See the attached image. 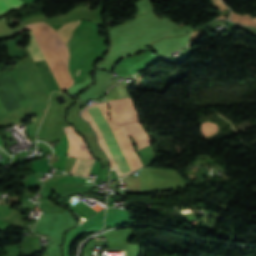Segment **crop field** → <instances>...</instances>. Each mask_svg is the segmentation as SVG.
I'll return each instance as SVG.
<instances>
[{
    "instance_id": "crop-field-1",
    "label": "crop field",
    "mask_w": 256,
    "mask_h": 256,
    "mask_svg": "<svg viewBox=\"0 0 256 256\" xmlns=\"http://www.w3.org/2000/svg\"><path fill=\"white\" fill-rule=\"evenodd\" d=\"M82 116L94 127L99 137L100 146L107 152L111 165L119 175L133 171L142 166L133 145L126 135H131L140 149L150 143L142 125L137 122L124 126L113 125L108 119V103L96 104L82 111Z\"/></svg>"
},
{
    "instance_id": "crop-field-2",
    "label": "crop field",
    "mask_w": 256,
    "mask_h": 256,
    "mask_svg": "<svg viewBox=\"0 0 256 256\" xmlns=\"http://www.w3.org/2000/svg\"><path fill=\"white\" fill-rule=\"evenodd\" d=\"M64 130L69 139V149H68L67 156L87 158L88 153L84 145L76 136V134L73 132V130L70 128V126L65 127Z\"/></svg>"
},
{
    "instance_id": "crop-field-3",
    "label": "crop field",
    "mask_w": 256,
    "mask_h": 256,
    "mask_svg": "<svg viewBox=\"0 0 256 256\" xmlns=\"http://www.w3.org/2000/svg\"><path fill=\"white\" fill-rule=\"evenodd\" d=\"M42 24H44V23H36V24L28 25V26L22 28L21 30L17 31L16 33L12 34V36L17 34V33H19V32H21V31H23V30H29V29H32V28H36V27H38V26H40ZM78 24H79V22H71L69 24H64V25H50V26L53 27L56 30V32L60 35L61 39L63 40V42L66 45L69 37L71 36L72 30Z\"/></svg>"
},
{
    "instance_id": "crop-field-4",
    "label": "crop field",
    "mask_w": 256,
    "mask_h": 256,
    "mask_svg": "<svg viewBox=\"0 0 256 256\" xmlns=\"http://www.w3.org/2000/svg\"><path fill=\"white\" fill-rule=\"evenodd\" d=\"M46 26L48 27V29H49V31H50V33H51V35H52V37H53V39H54V41H55V43H56V45H57V47H58L60 53H61V55H62V57H63V59H64L66 65H67V61H68V51H67V49H66L64 43H63L62 40L60 39L59 35H58L51 27H49L48 25L45 24V25H43V26H41V27L35 29V30L32 31V32H33V34H34V36H35V38H36V40H37V42H38V44H39V46H40V48H41V50H42V52H43V54H44V56H45V58H46V60H47V62H48V64H49V66H50V68H51V70H52V72H53V74H54V76H55V78H56V80H57V82H58L60 88H61V90L63 91V89H62V87H61V85H60V83H59V81H58V79H57V77H56V75H55V73H54V71H53V69H52V67H51V65H50V63H49V61H48V59H47V57H46V55H45V53H44V51H43L41 45H40V43H39V41H38V39H37V37H36V35H35V33H34V32H36V31H38V30H40V29H42V28H44V27H46Z\"/></svg>"
},
{
    "instance_id": "crop-field-5",
    "label": "crop field",
    "mask_w": 256,
    "mask_h": 256,
    "mask_svg": "<svg viewBox=\"0 0 256 256\" xmlns=\"http://www.w3.org/2000/svg\"><path fill=\"white\" fill-rule=\"evenodd\" d=\"M76 159L77 158H74V160H73V164H72L70 174L73 173V169H74V166H75V163H76ZM94 162H95L94 160L77 159V163H76L73 174L87 177V175L89 174Z\"/></svg>"
},
{
    "instance_id": "crop-field-6",
    "label": "crop field",
    "mask_w": 256,
    "mask_h": 256,
    "mask_svg": "<svg viewBox=\"0 0 256 256\" xmlns=\"http://www.w3.org/2000/svg\"><path fill=\"white\" fill-rule=\"evenodd\" d=\"M24 5L20 0H0V14L3 15L6 12Z\"/></svg>"
},
{
    "instance_id": "crop-field-7",
    "label": "crop field",
    "mask_w": 256,
    "mask_h": 256,
    "mask_svg": "<svg viewBox=\"0 0 256 256\" xmlns=\"http://www.w3.org/2000/svg\"><path fill=\"white\" fill-rule=\"evenodd\" d=\"M37 45L38 44H37L32 32H31V34H30V43L27 45V47L29 48V47H33V46H37Z\"/></svg>"
},
{
    "instance_id": "crop-field-8",
    "label": "crop field",
    "mask_w": 256,
    "mask_h": 256,
    "mask_svg": "<svg viewBox=\"0 0 256 256\" xmlns=\"http://www.w3.org/2000/svg\"><path fill=\"white\" fill-rule=\"evenodd\" d=\"M253 22H254V20L256 21V18H254V20L253 19H251ZM255 23V22H254ZM256 24V23H255Z\"/></svg>"
},
{
    "instance_id": "crop-field-9",
    "label": "crop field",
    "mask_w": 256,
    "mask_h": 256,
    "mask_svg": "<svg viewBox=\"0 0 256 256\" xmlns=\"http://www.w3.org/2000/svg\"><path fill=\"white\" fill-rule=\"evenodd\" d=\"M76 80V79H75ZM75 82V81H74Z\"/></svg>"
}]
</instances>
